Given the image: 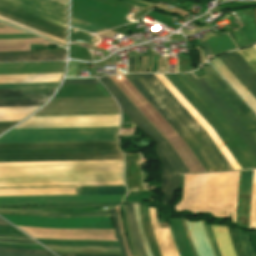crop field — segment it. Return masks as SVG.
I'll return each instance as SVG.
<instances>
[{
    "mask_svg": "<svg viewBox=\"0 0 256 256\" xmlns=\"http://www.w3.org/2000/svg\"><path fill=\"white\" fill-rule=\"evenodd\" d=\"M102 184H120L119 161L0 163V187Z\"/></svg>",
    "mask_w": 256,
    "mask_h": 256,
    "instance_id": "crop-field-1",
    "label": "crop field"
},
{
    "mask_svg": "<svg viewBox=\"0 0 256 256\" xmlns=\"http://www.w3.org/2000/svg\"><path fill=\"white\" fill-rule=\"evenodd\" d=\"M126 77L179 133L206 171L233 169L206 131L154 74Z\"/></svg>",
    "mask_w": 256,
    "mask_h": 256,
    "instance_id": "crop-field-2",
    "label": "crop field"
},
{
    "mask_svg": "<svg viewBox=\"0 0 256 256\" xmlns=\"http://www.w3.org/2000/svg\"><path fill=\"white\" fill-rule=\"evenodd\" d=\"M100 81L115 97L121 109L130 118V120L138 125L146 136L156 142L157 145L154 148L161 162V192L166 194L163 199V203L167 206L170 199L175 196V192L180 181V173H190V171L181 161L170 144L113 84V82L108 77L101 78Z\"/></svg>",
    "mask_w": 256,
    "mask_h": 256,
    "instance_id": "crop-field-3",
    "label": "crop field"
},
{
    "mask_svg": "<svg viewBox=\"0 0 256 256\" xmlns=\"http://www.w3.org/2000/svg\"><path fill=\"white\" fill-rule=\"evenodd\" d=\"M166 76L215 128L243 169L256 168V160L229 123L189 81V79L184 74Z\"/></svg>",
    "mask_w": 256,
    "mask_h": 256,
    "instance_id": "crop-field-4",
    "label": "crop field"
},
{
    "mask_svg": "<svg viewBox=\"0 0 256 256\" xmlns=\"http://www.w3.org/2000/svg\"><path fill=\"white\" fill-rule=\"evenodd\" d=\"M118 127L12 129L0 143L117 141Z\"/></svg>",
    "mask_w": 256,
    "mask_h": 256,
    "instance_id": "crop-field-5",
    "label": "crop field"
},
{
    "mask_svg": "<svg viewBox=\"0 0 256 256\" xmlns=\"http://www.w3.org/2000/svg\"><path fill=\"white\" fill-rule=\"evenodd\" d=\"M121 151L117 142L0 144V153Z\"/></svg>",
    "mask_w": 256,
    "mask_h": 256,
    "instance_id": "crop-field-6",
    "label": "crop field"
},
{
    "mask_svg": "<svg viewBox=\"0 0 256 256\" xmlns=\"http://www.w3.org/2000/svg\"><path fill=\"white\" fill-rule=\"evenodd\" d=\"M120 115L31 117L15 128L118 126Z\"/></svg>",
    "mask_w": 256,
    "mask_h": 256,
    "instance_id": "crop-field-7",
    "label": "crop field"
},
{
    "mask_svg": "<svg viewBox=\"0 0 256 256\" xmlns=\"http://www.w3.org/2000/svg\"><path fill=\"white\" fill-rule=\"evenodd\" d=\"M207 75L202 76L206 83L243 122L256 141V118L253 113L235 96L208 65L203 67Z\"/></svg>",
    "mask_w": 256,
    "mask_h": 256,
    "instance_id": "crop-field-8",
    "label": "crop field"
},
{
    "mask_svg": "<svg viewBox=\"0 0 256 256\" xmlns=\"http://www.w3.org/2000/svg\"><path fill=\"white\" fill-rule=\"evenodd\" d=\"M218 58L256 98V50L251 47Z\"/></svg>",
    "mask_w": 256,
    "mask_h": 256,
    "instance_id": "crop-field-9",
    "label": "crop field"
},
{
    "mask_svg": "<svg viewBox=\"0 0 256 256\" xmlns=\"http://www.w3.org/2000/svg\"><path fill=\"white\" fill-rule=\"evenodd\" d=\"M0 16L6 17L66 41V25L3 1H0Z\"/></svg>",
    "mask_w": 256,
    "mask_h": 256,
    "instance_id": "crop-field-10",
    "label": "crop field"
},
{
    "mask_svg": "<svg viewBox=\"0 0 256 256\" xmlns=\"http://www.w3.org/2000/svg\"><path fill=\"white\" fill-rule=\"evenodd\" d=\"M190 81L203 93V95L214 105V107L224 116V118L230 123L241 140L250 150L252 155L256 159V142L247 132L245 127L239 121V119L230 111V109L219 99V97L212 91V89L199 77L195 79L191 73L185 74Z\"/></svg>",
    "mask_w": 256,
    "mask_h": 256,
    "instance_id": "crop-field-11",
    "label": "crop field"
},
{
    "mask_svg": "<svg viewBox=\"0 0 256 256\" xmlns=\"http://www.w3.org/2000/svg\"><path fill=\"white\" fill-rule=\"evenodd\" d=\"M123 160L121 153L0 155V162Z\"/></svg>",
    "mask_w": 256,
    "mask_h": 256,
    "instance_id": "crop-field-12",
    "label": "crop field"
},
{
    "mask_svg": "<svg viewBox=\"0 0 256 256\" xmlns=\"http://www.w3.org/2000/svg\"><path fill=\"white\" fill-rule=\"evenodd\" d=\"M67 25V9L45 0H4Z\"/></svg>",
    "mask_w": 256,
    "mask_h": 256,
    "instance_id": "crop-field-13",
    "label": "crop field"
},
{
    "mask_svg": "<svg viewBox=\"0 0 256 256\" xmlns=\"http://www.w3.org/2000/svg\"><path fill=\"white\" fill-rule=\"evenodd\" d=\"M65 50L0 53V56L65 54ZM65 60V55L0 57V62Z\"/></svg>",
    "mask_w": 256,
    "mask_h": 256,
    "instance_id": "crop-field-14",
    "label": "crop field"
},
{
    "mask_svg": "<svg viewBox=\"0 0 256 256\" xmlns=\"http://www.w3.org/2000/svg\"><path fill=\"white\" fill-rule=\"evenodd\" d=\"M126 160V185L129 191L145 190L141 184L140 154H125Z\"/></svg>",
    "mask_w": 256,
    "mask_h": 256,
    "instance_id": "crop-field-15",
    "label": "crop field"
},
{
    "mask_svg": "<svg viewBox=\"0 0 256 256\" xmlns=\"http://www.w3.org/2000/svg\"><path fill=\"white\" fill-rule=\"evenodd\" d=\"M0 213L33 215V216H43V217L111 216L109 211H106V212H92V213H60V212H45V211H37V210L0 209Z\"/></svg>",
    "mask_w": 256,
    "mask_h": 256,
    "instance_id": "crop-field-16",
    "label": "crop field"
},
{
    "mask_svg": "<svg viewBox=\"0 0 256 256\" xmlns=\"http://www.w3.org/2000/svg\"><path fill=\"white\" fill-rule=\"evenodd\" d=\"M55 88L0 90V98L50 97Z\"/></svg>",
    "mask_w": 256,
    "mask_h": 256,
    "instance_id": "crop-field-17",
    "label": "crop field"
},
{
    "mask_svg": "<svg viewBox=\"0 0 256 256\" xmlns=\"http://www.w3.org/2000/svg\"><path fill=\"white\" fill-rule=\"evenodd\" d=\"M222 256H236L227 227L211 225Z\"/></svg>",
    "mask_w": 256,
    "mask_h": 256,
    "instance_id": "crop-field-18",
    "label": "crop field"
},
{
    "mask_svg": "<svg viewBox=\"0 0 256 256\" xmlns=\"http://www.w3.org/2000/svg\"><path fill=\"white\" fill-rule=\"evenodd\" d=\"M140 206V212H141V221H142V227L146 236V239L148 241L151 253L153 256H161V253L159 251L158 245L156 243L153 230L150 223L149 218V212L148 207Z\"/></svg>",
    "mask_w": 256,
    "mask_h": 256,
    "instance_id": "crop-field-19",
    "label": "crop field"
},
{
    "mask_svg": "<svg viewBox=\"0 0 256 256\" xmlns=\"http://www.w3.org/2000/svg\"><path fill=\"white\" fill-rule=\"evenodd\" d=\"M75 191L76 195L125 194L127 192L124 186H96V192H80L79 187H75Z\"/></svg>",
    "mask_w": 256,
    "mask_h": 256,
    "instance_id": "crop-field-20",
    "label": "crop field"
},
{
    "mask_svg": "<svg viewBox=\"0 0 256 256\" xmlns=\"http://www.w3.org/2000/svg\"><path fill=\"white\" fill-rule=\"evenodd\" d=\"M127 212L129 215V219H130V223H131V228H132V232L136 241V245L139 251L140 256H147L139 235V231H138V227H137V223H136V219H135V215H134V210H133V206L128 205L127 206Z\"/></svg>",
    "mask_w": 256,
    "mask_h": 256,
    "instance_id": "crop-field-21",
    "label": "crop field"
},
{
    "mask_svg": "<svg viewBox=\"0 0 256 256\" xmlns=\"http://www.w3.org/2000/svg\"><path fill=\"white\" fill-rule=\"evenodd\" d=\"M47 98H32V99H4L0 103H22V102H40V103H23V104H0V106H25V105H42Z\"/></svg>",
    "mask_w": 256,
    "mask_h": 256,
    "instance_id": "crop-field-22",
    "label": "crop field"
},
{
    "mask_svg": "<svg viewBox=\"0 0 256 256\" xmlns=\"http://www.w3.org/2000/svg\"><path fill=\"white\" fill-rule=\"evenodd\" d=\"M253 170L242 171L240 193H251Z\"/></svg>",
    "mask_w": 256,
    "mask_h": 256,
    "instance_id": "crop-field-23",
    "label": "crop field"
},
{
    "mask_svg": "<svg viewBox=\"0 0 256 256\" xmlns=\"http://www.w3.org/2000/svg\"><path fill=\"white\" fill-rule=\"evenodd\" d=\"M71 25L91 31V32H98V31L106 30V29L100 28L98 26H95V25L80 21L78 19L72 18V17H71Z\"/></svg>",
    "mask_w": 256,
    "mask_h": 256,
    "instance_id": "crop-field-24",
    "label": "crop field"
},
{
    "mask_svg": "<svg viewBox=\"0 0 256 256\" xmlns=\"http://www.w3.org/2000/svg\"><path fill=\"white\" fill-rule=\"evenodd\" d=\"M228 229H229V233H230L234 248L236 250L237 256H245L243 248L239 241L237 229L230 228V227H228Z\"/></svg>",
    "mask_w": 256,
    "mask_h": 256,
    "instance_id": "crop-field-25",
    "label": "crop field"
},
{
    "mask_svg": "<svg viewBox=\"0 0 256 256\" xmlns=\"http://www.w3.org/2000/svg\"><path fill=\"white\" fill-rule=\"evenodd\" d=\"M202 222H203V225H204L206 234H207V236H208V239H209V242H210V245H211V248H212V251H213L214 256H221V255H220V252H219V249H218V247H217L215 238H214V236H213V233H212V230H211L210 225L207 224L205 221H202Z\"/></svg>",
    "mask_w": 256,
    "mask_h": 256,
    "instance_id": "crop-field-26",
    "label": "crop field"
},
{
    "mask_svg": "<svg viewBox=\"0 0 256 256\" xmlns=\"http://www.w3.org/2000/svg\"><path fill=\"white\" fill-rule=\"evenodd\" d=\"M238 232H239L240 241H241V244L244 248L246 256H254V254L252 252V249L250 247L248 232L243 231V230H239V229H238Z\"/></svg>",
    "mask_w": 256,
    "mask_h": 256,
    "instance_id": "crop-field-27",
    "label": "crop field"
},
{
    "mask_svg": "<svg viewBox=\"0 0 256 256\" xmlns=\"http://www.w3.org/2000/svg\"><path fill=\"white\" fill-rule=\"evenodd\" d=\"M119 204H83V205H39L26 208H49V207H95V206H118Z\"/></svg>",
    "mask_w": 256,
    "mask_h": 256,
    "instance_id": "crop-field-28",
    "label": "crop field"
},
{
    "mask_svg": "<svg viewBox=\"0 0 256 256\" xmlns=\"http://www.w3.org/2000/svg\"><path fill=\"white\" fill-rule=\"evenodd\" d=\"M38 85H53V86H38ZM58 83H40V84H10V85H0V87L8 86H38V87H57ZM38 87H8V88H38ZM0 88V89H8Z\"/></svg>",
    "mask_w": 256,
    "mask_h": 256,
    "instance_id": "crop-field-29",
    "label": "crop field"
},
{
    "mask_svg": "<svg viewBox=\"0 0 256 256\" xmlns=\"http://www.w3.org/2000/svg\"><path fill=\"white\" fill-rule=\"evenodd\" d=\"M98 84L96 79L65 80L63 85Z\"/></svg>",
    "mask_w": 256,
    "mask_h": 256,
    "instance_id": "crop-field-30",
    "label": "crop field"
},
{
    "mask_svg": "<svg viewBox=\"0 0 256 256\" xmlns=\"http://www.w3.org/2000/svg\"><path fill=\"white\" fill-rule=\"evenodd\" d=\"M0 235H14V236L26 237L18 230L12 227H4V226H0Z\"/></svg>",
    "mask_w": 256,
    "mask_h": 256,
    "instance_id": "crop-field-31",
    "label": "crop field"
},
{
    "mask_svg": "<svg viewBox=\"0 0 256 256\" xmlns=\"http://www.w3.org/2000/svg\"><path fill=\"white\" fill-rule=\"evenodd\" d=\"M111 212H112V218H113V223H114V227H115V234H116V236H117V238H118L122 255H123V256H126L125 251H124L123 246H122V243H121L120 235H119V230H118V226H117L115 210H114V209H111Z\"/></svg>",
    "mask_w": 256,
    "mask_h": 256,
    "instance_id": "crop-field-32",
    "label": "crop field"
},
{
    "mask_svg": "<svg viewBox=\"0 0 256 256\" xmlns=\"http://www.w3.org/2000/svg\"><path fill=\"white\" fill-rule=\"evenodd\" d=\"M0 251H9V252H25V253H37V254H45L51 255L47 251H37V250H21V249H9V248H0Z\"/></svg>",
    "mask_w": 256,
    "mask_h": 256,
    "instance_id": "crop-field-33",
    "label": "crop field"
},
{
    "mask_svg": "<svg viewBox=\"0 0 256 256\" xmlns=\"http://www.w3.org/2000/svg\"><path fill=\"white\" fill-rule=\"evenodd\" d=\"M0 256H45V255L24 254V253H3V252H0Z\"/></svg>",
    "mask_w": 256,
    "mask_h": 256,
    "instance_id": "crop-field-34",
    "label": "crop field"
},
{
    "mask_svg": "<svg viewBox=\"0 0 256 256\" xmlns=\"http://www.w3.org/2000/svg\"><path fill=\"white\" fill-rule=\"evenodd\" d=\"M16 122H2L0 123V133L10 128L12 125H14Z\"/></svg>",
    "mask_w": 256,
    "mask_h": 256,
    "instance_id": "crop-field-35",
    "label": "crop field"
},
{
    "mask_svg": "<svg viewBox=\"0 0 256 256\" xmlns=\"http://www.w3.org/2000/svg\"><path fill=\"white\" fill-rule=\"evenodd\" d=\"M180 220H181L182 225H183V227H184V229H185V231H186V233H187V235H188V238H189V241H190V244H191V248H192L193 254H194V256H197V254H196V252H195V249H194V247H193L192 241H191V239H190L189 232H188L187 226H186V224H185V221H184L183 218H180Z\"/></svg>",
    "mask_w": 256,
    "mask_h": 256,
    "instance_id": "crop-field-36",
    "label": "crop field"
},
{
    "mask_svg": "<svg viewBox=\"0 0 256 256\" xmlns=\"http://www.w3.org/2000/svg\"><path fill=\"white\" fill-rule=\"evenodd\" d=\"M202 46H203V50H204V53H205V56L209 55L212 53V50L211 48L209 47L207 41L202 43Z\"/></svg>",
    "mask_w": 256,
    "mask_h": 256,
    "instance_id": "crop-field-37",
    "label": "crop field"
},
{
    "mask_svg": "<svg viewBox=\"0 0 256 256\" xmlns=\"http://www.w3.org/2000/svg\"><path fill=\"white\" fill-rule=\"evenodd\" d=\"M0 241H6V242H20V243H33V244H36L35 242H25V241L7 240V239H0Z\"/></svg>",
    "mask_w": 256,
    "mask_h": 256,
    "instance_id": "crop-field-38",
    "label": "crop field"
},
{
    "mask_svg": "<svg viewBox=\"0 0 256 256\" xmlns=\"http://www.w3.org/2000/svg\"><path fill=\"white\" fill-rule=\"evenodd\" d=\"M51 1H54V2L59 3L61 5L67 6V1L68 0H51Z\"/></svg>",
    "mask_w": 256,
    "mask_h": 256,
    "instance_id": "crop-field-39",
    "label": "crop field"
},
{
    "mask_svg": "<svg viewBox=\"0 0 256 256\" xmlns=\"http://www.w3.org/2000/svg\"><path fill=\"white\" fill-rule=\"evenodd\" d=\"M62 256H100V255H62Z\"/></svg>",
    "mask_w": 256,
    "mask_h": 256,
    "instance_id": "crop-field-40",
    "label": "crop field"
},
{
    "mask_svg": "<svg viewBox=\"0 0 256 256\" xmlns=\"http://www.w3.org/2000/svg\"><path fill=\"white\" fill-rule=\"evenodd\" d=\"M0 225L9 226L7 223H5L4 221H2L1 219H0Z\"/></svg>",
    "mask_w": 256,
    "mask_h": 256,
    "instance_id": "crop-field-41",
    "label": "crop field"
},
{
    "mask_svg": "<svg viewBox=\"0 0 256 256\" xmlns=\"http://www.w3.org/2000/svg\"><path fill=\"white\" fill-rule=\"evenodd\" d=\"M6 237H13V236H6ZM18 238H20V237H18ZM24 239H29V238H24Z\"/></svg>",
    "mask_w": 256,
    "mask_h": 256,
    "instance_id": "crop-field-42",
    "label": "crop field"
},
{
    "mask_svg": "<svg viewBox=\"0 0 256 256\" xmlns=\"http://www.w3.org/2000/svg\"><path fill=\"white\" fill-rule=\"evenodd\" d=\"M254 47L256 48V45H254Z\"/></svg>",
    "mask_w": 256,
    "mask_h": 256,
    "instance_id": "crop-field-43",
    "label": "crop field"
}]
</instances>
